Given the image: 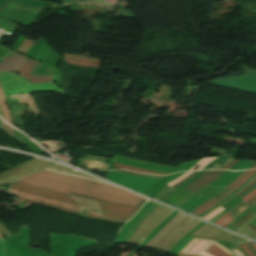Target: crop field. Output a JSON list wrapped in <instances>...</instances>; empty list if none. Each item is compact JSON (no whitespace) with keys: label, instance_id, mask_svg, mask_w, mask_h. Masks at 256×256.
I'll list each match as a JSON object with an SVG mask.
<instances>
[{"label":"crop field","instance_id":"crop-field-1","mask_svg":"<svg viewBox=\"0 0 256 256\" xmlns=\"http://www.w3.org/2000/svg\"><path fill=\"white\" fill-rule=\"evenodd\" d=\"M53 176H58L55 178ZM20 182L54 190L57 192L71 194V192L113 201L122 204L137 206L143 199L125 190L109 187L106 185L70 178L63 175L41 171L27 175L20 179Z\"/></svg>","mask_w":256,"mask_h":256},{"label":"crop field","instance_id":"crop-field-2","mask_svg":"<svg viewBox=\"0 0 256 256\" xmlns=\"http://www.w3.org/2000/svg\"><path fill=\"white\" fill-rule=\"evenodd\" d=\"M0 84L4 96L31 92L63 94L62 90L53 83L33 84L16 73H0Z\"/></svg>","mask_w":256,"mask_h":256},{"label":"crop field","instance_id":"crop-field-3","mask_svg":"<svg viewBox=\"0 0 256 256\" xmlns=\"http://www.w3.org/2000/svg\"><path fill=\"white\" fill-rule=\"evenodd\" d=\"M246 74L212 81V84L256 94V71L245 68Z\"/></svg>","mask_w":256,"mask_h":256},{"label":"crop field","instance_id":"crop-field-4","mask_svg":"<svg viewBox=\"0 0 256 256\" xmlns=\"http://www.w3.org/2000/svg\"><path fill=\"white\" fill-rule=\"evenodd\" d=\"M71 195L89 199V200L98 201L101 210L123 214V215L127 216L124 220H128L131 216H133L138 211V209L142 206V204L145 203V201H146L144 199L137 207H133V206L116 204V203H112V202H108V201H103V200H99V199H94V198H90V197H86V196H82V195H78V194H74V193H72Z\"/></svg>","mask_w":256,"mask_h":256},{"label":"crop field","instance_id":"crop-field-5","mask_svg":"<svg viewBox=\"0 0 256 256\" xmlns=\"http://www.w3.org/2000/svg\"><path fill=\"white\" fill-rule=\"evenodd\" d=\"M11 188H14V189L26 192V193L42 195V196H46V197H50V198H54V199H57V200H61V201H65V202H68V203L75 204L74 200L71 199V197L69 195H65V194L54 192V191L42 189V188L31 186V185H28V184L18 182L17 184L13 185Z\"/></svg>","mask_w":256,"mask_h":256},{"label":"crop field","instance_id":"crop-field-6","mask_svg":"<svg viewBox=\"0 0 256 256\" xmlns=\"http://www.w3.org/2000/svg\"><path fill=\"white\" fill-rule=\"evenodd\" d=\"M39 65H40V63L29 58L23 64V66L17 71V73H19L25 79H27L33 83L51 82L54 75L35 76L34 74H32Z\"/></svg>","mask_w":256,"mask_h":256},{"label":"crop field","instance_id":"crop-field-7","mask_svg":"<svg viewBox=\"0 0 256 256\" xmlns=\"http://www.w3.org/2000/svg\"><path fill=\"white\" fill-rule=\"evenodd\" d=\"M47 5V2L37 0H9L5 6L41 14Z\"/></svg>","mask_w":256,"mask_h":256},{"label":"crop field","instance_id":"crop-field-8","mask_svg":"<svg viewBox=\"0 0 256 256\" xmlns=\"http://www.w3.org/2000/svg\"><path fill=\"white\" fill-rule=\"evenodd\" d=\"M8 193L16 195V196L23 197V198H27V199H31V200H37V201L44 202V203H49V204H52V205H59V206L66 207V208H69V209H73V210H77V211H80V212H84V213H88V214L97 215V216L102 217V215H100V214L82 211L76 205L68 204V203H65V202L57 201V200L42 197V196L26 194V193H23V192H20V191L11 189V188L9 189Z\"/></svg>","mask_w":256,"mask_h":256},{"label":"crop field","instance_id":"crop-field-9","mask_svg":"<svg viewBox=\"0 0 256 256\" xmlns=\"http://www.w3.org/2000/svg\"><path fill=\"white\" fill-rule=\"evenodd\" d=\"M224 172L225 171H206L198 179L193 181L191 184H189L182 190H189L197 193L203 187L207 186L208 184L213 182L215 179H217Z\"/></svg>","mask_w":256,"mask_h":256},{"label":"crop field","instance_id":"crop-field-10","mask_svg":"<svg viewBox=\"0 0 256 256\" xmlns=\"http://www.w3.org/2000/svg\"><path fill=\"white\" fill-rule=\"evenodd\" d=\"M27 57L12 51L0 62V72L16 71Z\"/></svg>","mask_w":256,"mask_h":256},{"label":"crop field","instance_id":"crop-field-11","mask_svg":"<svg viewBox=\"0 0 256 256\" xmlns=\"http://www.w3.org/2000/svg\"><path fill=\"white\" fill-rule=\"evenodd\" d=\"M256 174V170H250L243 173L239 178H237L233 183H231L225 190H223L221 193H219L215 198L219 202L222 201L224 198L229 196L231 193L235 192L239 187H241L247 180H249L253 175Z\"/></svg>","mask_w":256,"mask_h":256},{"label":"crop field","instance_id":"crop-field-12","mask_svg":"<svg viewBox=\"0 0 256 256\" xmlns=\"http://www.w3.org/2000/svg\"><path fill=\"white\" fill-rule=\"evenodd\" d=\"M101 59L64 54V61L73 65L99 67Z\"/></svg>","mask_w":256,"mask_h":256},{"label":"crop field","instance_id":"crop-field-13","mask_svg":"<svg viewBox=\"0 0 256 256\" xmlns=\"http://www.w3.org/2000/svg\"><path fill=\"white\" fill-rule=\"evenodd\" d=\"M243 172H229L226 171L223 175H221L216 181H214L209 186L211 187H226L232 181H234L237 177H239Z\"/></svg>","mask_w":256,"mask_h":256},{"label":"crop field","instance_id":"crop-field-14","mask_svg":"<svg viewBox=\"0 0 256 256\" xmlns=\"http://www.w3.org/2000/svg\"><path fill=\"white\" fill-rule=\"evenodd\" d=\"M208 199H210V197H202L199 199H192L190 198L187 202H185L180 208L184 209L188 212L192 211L194 208H196L197 206L201 205L202 203H204L205 201H207Z\"/></svg>","mask_w":256,"mask_h":256},{"label":"crop field","instance_id":"crop-field-15","mask_svg":"<svg viewBox=\"0 0 256 256\" xmlns=\"http://www.w3.org/2000/svg\"><path fill=\"white\" fill-rule=\"evenodd\" d=\"M215 241H211L209 244H207L201 251H199L197 254L198 255H202V256H211L207 253H205L204 251ZM217 247H219L220 249H222L223 251H225L227 254H229L230 256H243L241 253H239L237 250L234 249H229V248H225L222 247L216 243H214Z\"/></svg>","mask_w":256,"mask_h":256},{"label":"crop field","instance_id":"crop-field-16","mask_svg":"<svg viewBox=\"0 0 256 256\" xmlns=\"http://www.w3.org/2000/svg\"><path fill=\"white\" fill-rule=\"evenodd\" d=\"M219 202L215 199H210L209 201L205 202L204 204H202L201 206H199L198 208H196L195 210H193L191 213L199 216L202 213L206 212L207 210H209L210 208L214 207L215 205H217Z\"/></svg>","mask_w":256,"mask_h":256},{"label":"crop field","instance_id":"crop-field-17","mask_svg":"<svg viewBox=\"0 0 256 256\" xmlns=\"http://www.w3.org/2000/svg\"><path fill=\"white\" fill-rule=\"evenodd\" d=\"M114 167L121 168V169H126V170H131V171H139L143 173H149V174H157V175H168V173H163V172H157V171H151V170H145V169H139V168H134L130 166H126L123 164L115 163L113 164Z\"/></svg>","mask_w":256,"mask_h":256},{"label":"crop field","instance_id":"crop-field-18","mask_svg":"<svg viewBox=\"0 0 256 256\" xmlns=\"http://www.w3.org/2000/svg\"><path fill=\"white\" fill-rule=\"evenodd\" d=\"M21 199H22V198H21ZM23 200L28 201V202H31V203H35V204L47 206V207H56V206L46 205V204L38 203V202H35V201L27 200V199H23ZM56 208H57V209H60V210L67 211V212H71V213H74V214H79V215H82V216H87V217H93V218H99V219H105V220L115 221V220H111V219H107V218H101V217H96V216H92V215L83 214V213H80V212H77V211H73V210H69V209H65V208H60V207H56ZM116 222H119V221H116Z\"/></svg>","mask_w":256,"mask_h":256},{"label":"crop field","instance_id":"crop-field-19","mask_svg":"<svg viewBox=\"0 0 256 256\" xmlns=\"http://www.w3.org/2000/svg\"><path fill=\"white\" fill-rule=\"evenodd\" d=\"M247 159H242L241 161H239L238 163H236L234 166H232L230 168V170H243V169H248L251 166L255 165L256 162H252L251 160H248L247 162H245ZM245 162V163H244Z\"/></svg>","mask_w":256,"mask_h":256},{"label":"crop field","instance_id":"crop-field-20","mask_svg":"<svg viewBox=\"0 0 256 256\" xmlns=\"http://www.w3.org/2000/svg\"><path fill=\"white\" fill-rule=\"evenodd\" d=\"M46 170L51 171V172H55V173H59V174H63V175H67V176H71V177H75V178L95 181V182H99V183H102V184H106V185L112 186V185H110V184H108L106 182H102V181H99V180H96V179H92V178H89V177H85V176L74 175V174H70V173H66V172H62V171H58V170H52V169H46Z\"/></svg>","mask_w":256,"mask_h":256},{"label":"crop field","instance_id":"crop-field-21","mask_svg":"<svg viewBox=\"0 0 256 256\" xmlns=\"http://www.w3.org/2000/svg\"><path fill=\"white\" fill-rule=\"evenodd\" d=\"M114 161L119 162V163H123V164H126V165H130V166H134V167H140V168H146V169H152V170H158V171L171 173V170L155 168V167H150V166H144V165H138V164H134V163H131V162L119 160V159H116V158L114 159Z\"/></svg>","mask_w":256,"mask_h":256},{"label":"crop field","instance_id":"crop-field-22","mask_svg":"<svg viewBox=\"0 0 256 256\" xmlns=\"http://www.w3.org/2000/svg\"><path fill=\"white\" fill-rule=\"evenodd\" d=\"M35 41H32L28 38L25 39V41L22 43V45L19 47L18 51L26 54L28 50L33 46Z\"/></svg>","mask_w":256,"mask_h":256},{"label":"crop field","instance_id":"crop-field-23","mask_svg":"<svg viewBox=\"0 0 256 256\" xmlns=\"http://www.w3.org/2000/svg\"><path fill=\"white\" fill-rule=\"evenodd\" d=\"M206 252L212 254L213 256H229L213 244L206 250Z\"/></svg>","mask_w":256,"mask_h":256},{"label":"crop field","instance_id":"crop-field-24","mask_svg":"<svg viewBox=\"0 0 256 256\" xmlns=\"http://www.w3.org/2000/svg\"><path fill=\"white\" fill-rule=\"evenodd\" d=\"M215 158L217 157H214V158H203L199 163H197L193 168H191L190 170L194 171L195 168L200 165L201 167L198 168L197 170H201L203 169L206 165H208L211 161H213Z\"/></svg>","mask_w":256,"mask_h":256},{"label":"crop field","instance_id":"crop-field-25","mask_svg":"<svg viewBox=\"0 0 256 256\" xmlns=\"http://www.w3.org/2000/svg\"><path fill=\"white\" fill-rule=\"evenodd\" d=\"M231 222H232V217L228 213L224 217H222L220 220H218L215 224L225 227Z\"/></svg>","mask_w":256,"mask_h":256},{"label":"crop field","instance_id":"crop-field-26","mask_svg":"<svg viewBox=\"0 0 256 256\" xmlns=\"http://www.w3.org/2000/svg\"><path fill=\"white\" fill-rule=\"evenodd\" d=\"M209 241L208 240H201L198 244H196L188 254H196L202 247H204Z\"/></svg>","mask_w":256,"mask_h":256},{"label":"crop field","instance_id":"crop-field-27","mask_svg":"<svg viewBox=\"0 0 256 256\" xmlns=\"http://www.w3.org/2000/svg\"><path fill=\"white\" fill-rule=\"evenodd\" d=\"M0 106H1L2 111H3L4 119H6L7 121H9L11 123V119H10V116H9V113H8V109H7V106H6L5 101H4L3 98H0Z\"/></svg>","mask_w":256,"mask_h":256},{"label":"crop field","instance_id":"crop-field-28","mask_svg":"<svg viewBox=\"0 0 256 256\" xmlns=\"http://www.w3.org/2000/svg\"><path fill=\"white\" fill-rule=\"evenodd\" d=\"M199 161V160H198ZM198 161H194V162H190V163H186V164H181L179 165L174 171L173 173L177 172V171H186L189 170L193 165H195Z\"/></svg>","mask_w":256,"mask_h":256},{"label":"crop field","instance_id":"crop-field-29","mask_svg":"<svg viewBox=\"0 0 256 256\" xmlns=\"http://www.w3.org/2000/svg\"><path fill=\"white\" fill-rule=\"evenodd\" d=\"M200 239L194 238L187 246H185L181 252L186 253L188 250H190Z\"/></svg>","mask_w":256,"mask_h":256},{"label":"crop field","instance_id":"crop-field-30","mask_svg":"<svg viewBox=\"0 0 256 256\" xmlns=\"http://www.w3.org/2000/svg\"><path fill=\"white\" fill-rule=\"evenodd\" d=\"M101 213L104 217L115 218V219H120V220H122L124 218V216L111 214V213H107V212H103V211H101Z\"/></svg>","mask_w":256,"mask_h":256},{"label":"crop field","instance_id":"crop-field-31","mask_svg":"<svg viewBox=\"0 0 256 256\" xmlns=\"http://www.w3.org/2000/svg\"><path fill=\"white\" fill-rule=\"evenodd\" d=\"M253 214H254V213H253V211H252L248 216L246 215L247 217L243 218L241 221H239V222H238L237 224H235L234 226H235V227L241 226L243 223H245L247 220H249Z\"/></svg>","mask_w":256,"mask_h":256},{"label":"crop field","instance_id":"crop-field-32","mask_svg":"<svg viewBox=\"0 0 256 256\" xmlns=\"http://www.w3.org/2000/svg\"><path fill=\"white\" fill-rule=\"evenodd\" d=\"M254 195H256V189H254L251 193H249L247 196L241 198L245 203L250 200Z\"/></svg>","mask_w":256,"mask_h":256},{"label":"crop field","instance_id":"crop-field-33","mask_svg":"<svg viewBox=\"0 0 256 256\" xmlns=\"http://www.w3.org/2000/svg\"><path fill=\"white\" fill-rule=\"evenodd\" d=\"M222 210H224L223 208H218L217 210H215L214 212H212L211 214H209L208 216H206L204 219H211L213 216H215L216 214H218L219 212H221Z\"/></svg>","mask_w":256,"mask_h":256},{"label":"crop field","instance_id":"crop-field-34","mask_svg":"<svg viewBox=\"0 0 256 256\" xmlns=\"http://www.w3.org/2000/svg\"><path fill=\"white\" fill-rule=\"evenodd\" d=\"M256 184V179L252 182V183H250L244 190H242L239 194H237V195H242V194H244L246 191H248L251 187H253L254 185Z\"/></svg>","mask_w":256,"mask_h":256},{"label":"crop field","instance_id":"crop-field-35","mask_svg":"<svg viewBox=\"0 0 256 256\" xmlns=\"http://www.w3.org/2000/svg\"><path fill=\"white\" fill-rule=\"evenodd\" d=\"M193 238L188 237L185 241H183L178 247L177 250H181L186 244H188Z\"/></svg>","mask_w":256,"mask_h":256},{"label":"crop field","instance_id":"crop-field-36","mask_svg":"<svg viewBox=\"0 0 256 256\" xmlns=\"http://www.w3.org/2000/svg\"><path fill=\"white\" fill-rule=\"evenodd\" d=\"M1 123H2L3 130H5L7 133H9L11 136H13L12 128H10L9 126H7V125L4 124L3 122H1Z\"/></svg>","mask_w":256,"mask_h":256},{"label":"crop field","instance_id":"crop-field-37","mask_svg":"<svg viewBox=\"0 0 256 256\" xmlns=\"http://www.w3.org/2000/svg\"><path fill=\"white\" fill-rule=\"evenodd\" d=\"M190 173H191V172L185 173L183 176H181L180 178H178V179L172 181V182L169 183L168 185L172 186V185L176 184L177 182H179L180 180H182L183 178H185V177H186L187 175H189Z\"/></svg>","mask_w":256,"mask_h":256},{"label":"crop field","instance_id":"crop-field-38","mask_svg":"<svg viewBox=\"0 0 256 256\" xmlns=\"http://www.w3.org/2000/svg\"><path fill=\"white\" fill-rule=\"evenodd\" d=\"M0 244H1L2 256H5V247H4V243H3V239L2 238H0Z\"/></svg>","mask_w":256,"mask_h":256},{"label":"crop field","instance_id":"crop-field-39","mask_svg":"<svg viewBox=\"0 0 256 256\" xmlns=\"http://www.w3.org/2000/svg\"><path fill=\"white\" fill-rule=\"evenodd\" d=\"M240 246L249 254V256H254L244 243L241 244Z\"/></svg>","mask_w":256,"mask_h":256},{"label":"crop field","instance_id":"crop-field-40","mask_svg":"<svg viewBox=\"0 0 256 256\" xmlns=\"http://www.w3.org/2000/svg\"><path fill=\"white\" fill-rule=\"evenodd\" d=\"M236 162H238L237 160H234L233 162H231L230 164H228L226 167H224L223 169H228L230 168L232 165H234Z\"/></svg>","mask_w":256,"mask_h":256},{"label":"crop field","instance_id":"crop-field-41","mask_svg":"<svg viewBox=\"0 0 256 256\" xmlns=\"http://www.w3.org/2000/svg\"><path fill=\"white\" fill-rule=\"evenodd\" d=\"M255 200H256V196L253 197L249 202H247V204L252 205V203H253Z\"/></svg>","mask_w":256,"mask_h":256},{"label":"crop field","instance_id":"crop-field-42","mask_svg":"<svg viewBox=\"0 0 256 256\" xmlns=\"http://www.w3.org/2000/svg\"><path fill=\"white\" fill-rule=\"evenodd\" d=\"M254 188H256V185H255L250 191H252ZM250 191H249V192H250ZM249 192H247V193H249ZM247 193H246V194H247ZM246 194H244V195H246ZM244 195H242L241 197H243ZM241 197H240V198H241Z\"/></svg>","mask_w":256,"mask_h":256},{"label":"crop field","instance_id":"crop-field-43","mask_svg":"<svg viewBox=\"0 0 256 256\" xmlns=\"http://www.w3.org/2000/svg\"><path fill=\"white\" fill-rule=\"evenodd\" d=\"M251 245L255 248V250H256V244H254V243H251Z\"/></svg>","mask_w":256,"mask_h":256},{"label":"crop field","instance_id":"crop-field-44","mask_svg":"<svg viewBox=\"0 0 256 256\" xmlns=\"http://www.w3.org/2000/svg\"><path fill=\"white\" fill-rule=\"evenodd\" d=\"M3 95H2V92H1V89H0V97H2Z\"/></svg>","mask_w":256,"mask_h":256},{"label":"crop field","instance_id":"crop-field-45","mask_svg":"<svg viewBox=\"0 0 256 256\" xmlns=\"http://www.w3.org/2000/svg\"><path fill=\"white\" fill-rule=\"evenodd\" d=\"M0 114H2L1 108H0ZM2 117V115H0Z\"/></svg>","mask_w":256,"mask_h":256},{"label":"crop field","instance_id":"crop-field-46","mask_svg":"<svg viewBox=\"0 0 256 256\" xmlns=\"http://www.w3.org/2000/svg\"><path fill=\"white\" fill-rule=\"evenodd\" d=\"M252 168H256V165H255V166H253V167H251L250 169H252Z\"/></svg>","mask_w":256,"mask_h":256},{"label":"crop field","instance_id":"crop-field-47","mask_svg":"<svg viewBox=\"0 0 256 256\" xmlns=\"http://www.w3.org/2000/svg\"><path fill=\"white\" fill-rule=\"evenodd\" d=\"M254 210V212L256 213V208L255 209H253Z\"/></svg>","mask_w":256,"mask_h":256},{"label":"crop field","instance_id":"crop-field-48","mask_svg":"<svg viewBox=\"0 0 256 256\" xmlns=\"http://www.w3.org/2000/svg\"><path fill=\"white\" fill-rule=\"evenodd\" d=\"M0 128L2 129V127H1V123H0Z\"/></svg>","mask_w":256,"mask_h":256},{"label":"crop field","instance_id":"crop-field-49","mask_svg":"<svg viewBox=\"0 0 256 256\" xmlns=\"http://www.w3.org/2000/svg\"><path fill=\"white\" fill-rule=\"evenodd\" d=\"M0 237H2V235L0 234Z\"/></svg>","mask_w":256,"mask_h":256},{"label":"crop field","instance_id":"crop-field-50","mask_svg":"<svg viewBox=\"0 0 256 256\" xmlns=\"http://www.w3.org/2000/svg\"><path fill=\"white\" fill-rule=\"evenodd\" d=\"M254 221H256V219Z\"/></svg>","mask_w":256,"mask_h":256},{"label":"crop field","instance_id":"crop-field-51","mask_svg":"<svg viewBox=\"0 0 256 256\" xmlns=\"http://www.w3.org/2000/svg\"><path fill=\"white\" fill-rule=\"evenodd\" d=\"M135 256V255H134Z\"/></svg>","mask_w":256,"mask_h":256}]
</instances>
